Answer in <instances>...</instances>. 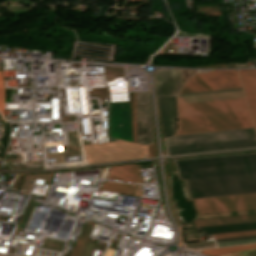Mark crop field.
Masks as SVG:
<instances>
[{
  "label": "crop field",
  "mask_w": 256,
  "mask_h": 256,
  "mask_svg": "<svg viewBox=\"0 0 256 256\" xmlns=\"http://www.w3.org/2000/svg\"><path fill=\"white\" fill-rule=\"evenodd\" d=\"M94 243V241L88 239L81 256H89Z\"/></svg>",
  "instance_id": "00972430"
},
{
  "label": "crop field",
  "mask_w": 256,
  "mask_h": 256,
  "mask_svg": "<svg viewBox=\"0 0 256 256\" xmlns=\"http://www.w3.org/2000/svg\"><path fill=\"white\" fill-rule=\"evenodd\" d=\"M246 71H247L249 82H250V85H251V88H252L254 99H255V102H256V69H249V70H246Z\"/></svg>",
  "instance_id": "bc2a9ffb"
},
{
  "label": "crop field",
  "mask_w": 256,
  "mask_h": 256,
  "mask_svg": "<svg viewBox=\"0 0 256 256\" xmlns=\"http://www.w3.org/2000/svg\"><path fill=\"white\" fill-rule=\"evenodd\" d=\"M253 127L248 111L179 118L176 135Z\"/></svg>",
  "instance_id": "34b2d1b8"
},
{
  "label": "crop field",
  "mask_w": 256,
  "mask_h": 256,
  "mask_svg": "<svg viewBox=\"0 0 256 256\" xmlns=\"http://www.w3.org/2000/svg\"><path fill=\"white\" fill-rule=\"evenodd\" d=\"M180 178H196L256 172V153L175 161Z\"/></svg>",
  "instance_id": "8a807250"
},
{
  "label": "crop field",
  "mask_w": 256,
  "mask_h": 256,
  "mask_svg": "<svg viewBox=\"0 0 256 256\" xmlns=\"http://www.w3.org/2000/svg\"><path fill=\"white\" fill-rule=\"evenodd\" d=\"M212 256H256V250L228 253V254H220V255H212Z\"/></svg>",
  "instance_id": "92a150f3"
},
{
  "label": "crop field",
  "mask_w": 256,
  "mask_h": 256,
  "mask_svg": "<svg viewBox=\"0 0 256 256\" xmlns=\"http://www.w3.org/2000/svg\"><path fill=\"white\" fill-rule=\"evenodd\" d=\"M148 152H149V157L154 156V148H153V143L148 145Z\"/></svg>",
  "instance_id": "730fd06b"
},
{
  "label": "crop field",
  "mask_w": 256,
  "mask_h": 256,
  "mask_svg": "<svg viewBox=\"0 0 256 256\" xmlns=\"http://www.w3.org/2000/svg\"><path fill=\"white\" fill-rule=\"evenodd\" d=\"M254 242H256V239L220 242V243H216V244L218 247H222V246H230V245H238V244H246V243H254Z\"/></svg>",
  "instance_id": "214f88e0"
},
{
  "label": "crop field",
  "mask_w": 256,
  "mask_h": 256,
  "mask_svg": "<svg viewBox=\"0 0 256 256\" xmlns=\"http://www.w3.org/2000/svg\"><path fill=\"white\" fill-rule=\"evenodd\" d=\"M134 187H135V185L121 184V183L106 181L103 184H101L99 189L131 195Z\"/></svg>",
  "instance_id": "d9b57169"
},
{
  "label": "crop field",
  "mask_w": 256,
  "mask_h": 256,
  "mask_svg": "<svg viewBox=\"0 0 256 256\" xmlns=\"http://www.w3.org/2000/svg\"><path fill=\"white\" fill-rule=\"evenodd\" d=\"M251 249H256V244L217 248V249H208V250H202L201 253L204 255H210V254L243 251V250H251Z\"/></svg>",
  "instance_id": "733c2abd"
},
{
  "label": "crop field",
  "mask_w": 256,
  "mask_h": 256,
  "mask_svg": "<svg viewBox=\"0 0 256 256\" xmlns=\"http://www.w3.org/2000/svg\"><path fill=\"white\" fill-rule=\"evenodd\" d=\"M132 95H133V142H135V96L133 92H132Z\"/></svg>",
  "instance_id": "a9b5d70f"
},
{
  "label": "crop field",
  "mask_w": 256,
  "mask_h": 256,
  "mask_svg": "<svg viewBox=\"0 0 256 256\" xmlns=\"http://www.w3.org/2000/svg\"><path fill=\"white\" fill-rule=\"evenodd\" d=\"M251 138H256L253 128L189 134V135H179V136H174L172 138L166 139V144H167V147H171V146H181V145H191V144H201V143H211V142H221V141H231V140H241V139H251Z\"/></svg>",
  "instance_id": "f4fd0767"
},
{
  "label": "crop field",
  "mask_w": 256,
  "mask_h": 256,
  "mask_svg": "<svg viewBox=\"0 0 256 256\" xmlns=\"http://www.w3.org/2000/svg\"><path fill=\"white\" fill-rule=\"evenodd\" d=\"M108 178L122 181L142 182L138 165H121L112 167Z\"/></svg>",
  "instance_id": "28ad6ade"
},
{
  "label": "crop field",
  "mask_w": 256,
  "mask_h": 256,
  "mask_svg": "<svg viewBox=\"0 0 256 256\" xmlns=\"http://www.w3.org/2000/svg\"><path fill=\"white\" fill-rule=\"evenodd\" d=\"M136 96V142L152 143L149 93H135Z\"/></svg>",
  "instance_id": "d8731c3e"
},
{
  "label": "crop field",
  "mask_w": 256,
  "mask_h": 256,
  "mask_svg": "<svg viewBox=\"0 0 256 256\" xmlns=\"http://www.w3.org/2000/svg\"><path fill=\"white\" fill-rule=\"evenodd\" d=\"M93 225H94L93 223L88 222L87 225L83 226V228L80 232V235L77 239V242H76L70 256H80L81 251L84 247V244H85V242H86V240H87V238L90 234V231H91Z\"/></svg>",
  "instance_id": "5142ce71"
},
{
  "label": "crop field",
  "mask_w": 256,
  "mask_h": 256,
  "mask_svg": "<svg viewBox=\"0 0 256 256\" xmlns=\"http://www.w3.org/2000/svg\"><path fill=\"white\" fill-rule=\"evenodd\" d=\"M248 110L244 98L178 105L179 117Z\"/></svg>",
  "instance_id": "e52e79f7"
},
{
  "label": "crop field",
  "mask_w": 256,
  "mask_h": 256,
  "mask_svg": "<svg viewBox=\"0 0 256 256\" xmlns=\"http://www.w3.org/2000/svg\"><path fill=\"white\" fill-rule=\"evenodd\" d=\"M238 89H242V88H238ZM238 89H229V90H238ZM229 90H220V91H229ZM211 92H219V91H211ZM201 93H210V92H201ZM201 93H192V94H201ZM183 95H191V94H183ZM182 96V95H179Z\"/></svg>",
  "instance_id": "eef30255"
},
{
  "label": "crop field",
  "mask_w": 256,
  "mask_h": 256,
  "mask_svg": "<svg viewBox=\"0 0 256 256\" xmlns=\"http://www.w3.org/2000/svg\"><path fill=\"white\" fill-rule=\"evenodd\" d=\"M242 87L236 70L209 71L195 74L179 94Z\"/></svg>",
  "instance_id": "412701ff"
},
{
  "label": "crop field",
  "mask_w": 256,
  "mask_h": 256,
  "mask_svg": "<svg viewBox=\"0 0 256 256\" xmlns=\"http://www.w3.org/2000/svg\"><path fill=\"white\" fill-rule=\"evenodd\" d=\"M254 146H256V139L192 145V146H182V147H172V148H167V151L169 155H175V154H185V153H193V152H200V151H207V150L244 148V147H254Z\"/></svg>",
  "instance_id": "5a996713"
},
{
  "label": "crop field",
  "mask_w": 256,
  "mask_h": 256,
  "mask_svg": "<svg viewBox=\"0 0 256 256\" xmlns=\"http://www.w3.org/2000/svg\"><path fill=\"white\" fill-rule=\"evenodd\" d=\"M201 214L256 208V194L196 199Z\"/></svg>",
  "instance_id": "dd49c442"
},
{
  "label": "crop field",
  "mask_w": 256,
  "mask_h": 256,
  "mask_svg": "<svg viewBox=\"0 0 256 256\" xmlns=\"http://www.w3.org/2000/svg\"><path fill=\"white\" fill-rule=\"evenodd\" d=\"M244 97L243 91H229L178 97V104Z\"/></svg>",
  "instance_id": "d1516ede"
},
{
  "label": "crop field",
  "mask_w": 256,
  "mask_h": 256,
  "mask_svg": "<svg viewBox=\"0 0 256 256\" xmlns=\"http://www.w3.org/2000/svg\"><path fill=\"white\" fill-rule=\"evenodd\" d=\"M0 112L4 116V102H3V82H2V74L0 71Z\"/></svg>",
  "instance_id": "dafd665d"
},
{
  "label": "crop field",
  "mask_w": 256,
  "mask_h": 256,
  "mask_svg": "<svg viewBox=\"0 0 256 256\" xmlns=\"http://www.w3.org/2000/svg\"><path fill=\"white\" fill-rule=\"evenodd\" d=\"M249 221H256V215H246V216H236V217H227V218L197 220V221H193V222H194L196 227H200V226L220 225V224L249 222Z\"/></svg>",
  "instance_id": "22f410ed"
},
{
  "label": "crop field",
  "mask_w": 256,
  "mask_h": 256,
  "mask_svg": "<svg viewBox=\"0 0 256 256\" xmlns=\"http://www.w3.org/2000/svg\"><path fill=\"white\" fill-rule=\"evenodd\" d=\"M175 98L176 97L157 98L164 138L175 134L177 119Z\"/></svg>",
  "instance_id": "3316defc"
},
{
  "label": "crop field",
  "mask_w": 256,
  "mask_h": 256,
  "mask_svg": "<svg viewBox=\"0 0 256 256\" xmlns=\"http://www.w3.org/2000/svg\"><path fill=\"white\" fill-rule=\"evenodd\" d=\"M251 235H256V230L235 232V233H226V234H217V235H213V236L215 239H220V238L241 237V236H251Z\"/></svg>",
  "instance_id": "4a817a6b"
},
{
  "label": "crop field",
  "mask_w": 256,
  "mask_h": 256,
  "mask_svg": "<svg viewBox=\"0 0 256 256\" xmlns=\"http://www.w3.org/2000/svg\"><path fill=\"white\" fill-rule=\"evenodd\" d=\"M247 238H256V236H251V237H241V238H230V239H220V240H215V241H216V242H220V241H229V240L247 239Z\"/></svg>",
  "instance_id": "4177f3b9"
},
{
  "label": "crop field",
  "mask_w": 256,
  "mask_h": 256,
  "mask_svg": "<svg viewBox=\"0 0 256 256\" xmlns=\"http://www.w3.org/2000/svg\"><path fill=\"white\" fill-rule=\"evenodd\" d=\"M191 199L256 193V173L185 180Z\"/></svg>",
  "instance_id": "ac0d7876"
},
{
  "label": "crop field",
  "mask_w": 256,
  "mask_h": 256,
  "mask_svg": "<svg viewBox=\"0 0 256 256\" xmlns=\"http://www.w3.org/2000/svg\"><path fill=\"white\" fill-rule=\"evenodd\" d=\"M238 72H239V75H240V79H241V82H242L244 93H245V96H246V99H247V103H248V106H249L251 117H252L254 127H255V130H256V106H255L253 95H252V92H251V89H250V85H249V82H248L246 71L245 70H238Z\"/></svg>",
  "instance_id": "cbeb9de0"
}]
</instances>
